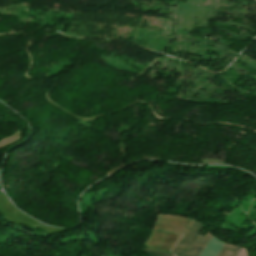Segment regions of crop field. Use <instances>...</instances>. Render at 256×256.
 <instances>
[{
    "instance_id": "ac0d7876",
    "label": "crop field",
    "mask_w": 256,
    "mask_h": 256,
    "mask_svg": "<svg viewBox=\"0 0 256 256\" xmlns=\"http://www.w3.org/2000/svg\"><path fill=\"white\" fill-rule=\"evenodd\" d=\"M211 236L212 235L209 232L205 237L198 235L187 250V252L184 254V256H199L208 241L210 240Z\"/></svg>"
},
{
    "instance_id": "34b2d1b8",
    "label": "crop field",
    "mask_w": 256,
    "mask_h": 256,
    "mask_svg": "<svg viewBox=\"0 0 256 256\" xmlns=\"http://www.w3.org/2000/svg\"><path fill=\"white\" fill-rule=\"evenodd\" d=\"M223 244L224 243L212 237L200 256H216Z\"/></svg>"
},
{
    "instance_id": "f4fd0767",
    "label": "crop field",
    "mask_w": 256,
    "mask_h": 256,
    "mask_svg": "<svg viewBox=\"0 0 256 256\" xmlns=\"http://www.w3.org/2000/svg\"><path fill=\"white\" fill-rule=\"evenodd\" d=\"M141 252L145 253L148 256H173L172 254L144 248Z\"/></svg>"
},
{
    "instance_id": "412701ff",
    "label": "crop field",
    "mask_w": 256,
    "mask_h": 256,
    "mask_svg": "<svg viewBox=\"0 0 256 256\" xmlns=\"http://www.w3.org/2000/svg\"><path fill=\"white\" fill-rule=\"evenodd\" d=\"M241 247L224 244L223 248L219 252L218 256H236Z\"/></svg>"
},
{
    "instance_id": "8a807250",
    "label": "crop field",
    "mask_w": 256,
    "mask_h": 256,
    "mask_svg": "<svg viewBox=\"0 0 256 256\" xmlns=\"http://www.w3.org/2000/svg\"><path fill=\"white\" fill-rule=\"evenodd\" d=\"M204 228V226L192 222V224L187 229V232L182 236V238L178 241V243L174 246L171 252L178 256H182L191 242L195 239L198 233Z\"/></svg>"
}]
</instances>
